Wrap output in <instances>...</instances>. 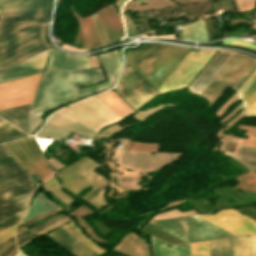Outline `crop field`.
<instances>
[{
    "label": "crop field",
    "mask_w": 256,
    "mask_h": 256,
    "mask_svg": "<svg viewBox=\"0 0 256 256\" xmlns=\"http://www.w3.org/2000/svg\"><path fill=\"white\" fill-rule=\"evenodd\" d=\"M191 256H209V241L191 243Z\"/></svg>",
    "instance_id": "obj_33"
},
{
    "label": "crop field",
    "mask_w": 256,
    "mask_h": 256,
    "mask_svg": "<svg viewBox=\"0 0 256 256\" xmlns=\"http://www.w3.org/2000/svg\"><path fill=\"white\" fill-rule=\"evenodd\" d=\"M198 217L234 234H246L256 232V222L240 215L233 209L219 211L212 215H197Z\"/></svg>",
    "instance_id": "obj_12"
},
{
    "label": "crop field",
    "mask_w": 256,
    "mask_h": 256,
    "mask_svg": "<svg viewBox=\"0 0 256 256\" xmlns=\"http://www.w3.org/2000/svg\"><path fill=\"white\" fill-rule=\"evenodd\" d=\"M87 201L90 202L93 206H95L97 208V210L101 209V206L107 205L104 202L103 191L99 192L98 194H96L95 196L91 197Z\"/></svg>",
    "instance_id": "obj_36"
},
{
    "label": "crop field",
    "mask_w": 256,
    "mask_h": 256,
    "mask_svg": "<svg viewBox=\"0 0 256 256\" xmlns=\"http://www.w3.org/2000/svg\"><path fill=\"white\" fill-rule=\"evenodd\" d=\"M234 53L219 51L189 86L190 92L200 94Z\"/></svg>",
    "instance_id": "obj_16"
},
{
    "label": "crop field",
    "mask_w": 256,
    "mask_h": 256,
    "mask_svg": "<svg viewBox=\"0 0 256 256\" xmlns=\"http://www.w3.org/2000/svg\"><path fill=\"white\" fill-rule=\"evenodd\" d=\"M238 180L241 183L237 187L256 191V173L248 172L238 177Z\"/></svg>",
    "instance_id": "obj_31"
},
{
    "label": "crop field",
    "mask_w": 256,
    "mask_h": 256,
    "mask_svg": "<svg viewBox=\"0 0 256 256\" xmlns=\"http://www.w3.org/2000/svg\"><path fill=\"white\" fill-rule=\"evenodd\" d=\"M10 157L9 153L6 151L5 147L3 144L0 145V159Z\"/></svg>",
    "instance_id": "obj_48"
},
{
    "label": "crop field",
    "mask_w": 256,
    "mask_h": 256,
    "mask_svg": "<svg viewBox=\"0 0 256 256\" xmlns=\"http://www.w3.org/2000/svg\"><path fill=\"white\" fill-rule=\"evenodd\" d=\"M71 10L81 25L84 48L90 49L102 45L90 16L82 19L79 14L75 15L73 9Z\"/></svg>",
    "instance_id": "obj_23"
},
{
    "label": "crop field",
    "mask_w": 256,
    "mask_h": 256,
    "mask_svg": "<svg viewBox=\"0 0 256 256\" xmlns=\"http://www.w3.org/2000/svg\"><path fill=\"white\" fill-rule=\"evenodd\" d=\"M256 68L253 70V72L249 75V77L244 81V83L239 87L237 90L239 96L243 94V92L248 88V86L252 83V81L256 78ZM255 75V76H254ZM254 76V78H253ZM253 78V79H252ZM252 79V80H251ZM251 80V81H250ZM250 81V82H249ZM249 82V84H248ZM248 84V85H247ZM247 85V86H246ZM246 86V87H245ZM245 87V88H244ZM244 88V90H243ZM243 90V91H242ZM242 91V92H241ZM242 94H241V93ZM245 99L247 100L249 106L256 98V80L254 83L247 89V91L243 94ZM243 95L240 97L244 100L246 106H247V114H256V100L252 103V105L249 107L247 102L245 101ZM247 116H256V115H247Z\"/></svg>",
    "instance_id": "obj_24"
},
{
    "label": "crop field",
    "mask_w": 256,
    "mask_h": 256,
    "mask_svg": "<svg viewBox=\"0 0 256 256\" xmlns=\"http://www.w3.org/2000/svg\"><path fill=\"white\" fill-rule=\"evenodd\" d=\"M91 18H92V21H93V23H94V25H95V27H96L98 33H99V36H100V39H101L103 45H104L105 43H109L108 40H107V38H106V35H105V33H104V30H103V28H102V26H101V23H100V21H99V18H98V16H97V14H94Z\"/></svg>",
    "instance_id": "obj_37"
},
{
    "label": "crop field",
    "mask_w": 256,
    "mask_h": 256,
    "mask_svg": "<svg viewBox=\"0 0 256 256\" xmlns=\"http://www.w3.org/2000/svg\"><path fill=\"white\" fill-rule=\"evenodd\" d=\"M17 224H18V223H17ZM17 224H14V225H12V226H10V227H7V228H5V229H3V230L0 231V242H2V241H4L5 239H7V238H9V237H11V236L14 235V234H13V229L15 228V226H16Z\"/></svg>",
    "instance_id": "obj_42"
},
{
    "label": "crop field",
    "mask_w": 256,
    "mask_h": 256,
    "mask_svg": "<svg viewBox=\"0 0 256 256\" xmlns=\"http://www.w3.org/2000/svg\"><path fill=\"white\" fill-rule=\"evenodd\" d=\"M126 0H120L116 5H117V7H118V9H119V11H120V8H121V6L123 5V3L125 2Z\"/></svg>",
    "instance_id": "obj_53"
},
{
    "label": "crop field",
    "mask_w": 256,
    "mask_h": 256,
    "mask_svg": "<svg viewBox=\"0 0 256 256\" xmlns=\"http://www.w3.org/2000/svg\"><path fill=\"white\" fill-rule=\"evenodd\" d=\"M48 23L0 21V72L51 47L45 39Z\"/></svg>",
    "instance_id": "obj_3"
},
{
    "label": "crop field",
    "mask_w": 256,
    "mask_h": 256,
    "mask_svg": "<svg viewBox=\"0 0 256 256\" xmlns=\"http://www.w3.org/2000/svg\"><path fill=\"white\" fill-rule=\"evenodd\" d=\"M11 127L15 128L19 132H17L15 129H13ZM8 128H11V129H8ZM6 129H8V130H6ZM3 130H6V131H3ZM0 131H3V132H0V137L11 134V133H14V132H17V133H14V134H11V135L0 138V143L6 142V141H9V140H13V139H16V138L28 136L25 133H23L22 131H20L18 128H16L14 125H12L11 123L6 124L4 126H1Z\"/></svg>",
    "instance_id": "obj_30"
},
{
    "label": "crop field",
    "mask_w": 256,
    "mask_h": 256,
    "mask_svg": "<svg viewBox=\"0 0 256 256\" xmlns=\"http://www.w3.org/2000/svg\"><path fill=\"white\" fill-rule=\"evenodd\" d=\"M26 179L28 177L16 162L0 166V190Z\"/></svg>",
    "instance_id": "obj_20"
},
{
    "label": "crop field",
    "mask_w": 256,
    "mask_h": 256,
    "mask_svg": "<svg viewBox=\"0 0 256 256\" xmlns=\"http://www.w3.org/2000/svg\"><path fill=\"white\" fill-rule=\"evenodd\" d=\"M153 256H190V243L172 245V249L167 244L152 237Z\"/></svg>",
    "instance_id": "obj_22"
},
{
    "label": "crop field",
    "mask_w": 256,
    "mask_h": 256,
    "mask_svg": "<svg viewBox=\"0 0 256 256\" xmlns=\"http://www.w3.org/2000/svg\"><path fill=\"white\" fill-rule=\"evenodd\" d=\"M105 103L122 117L134 112L112 90L98 95Z\"/></svg>",
    "instance_id": "obj_26"
},
{
    "label": "crop field",
    "mask_w": 256,
    "mask_h": 256,
    "mask_svg": "<svg viewBox=\"0 0 256 256\" xmlns=\"http://www.w3.org/2000/svg\"><path fill=\"white\" fill-rule=\"evenodd\" d=\"M63 48H65L67 50H73V51H85V50L74 48V47H71V46H68V45H65V44L63 45Z\"/></svg>",
    "instance_id": "obj_52"
},
{
    "label": "crop field",
    "mask_w": 256,
    "mask_h": 256,
    "mask_svg": "<svg viewBox=\"0 0 256 256\" xmlns=\"http://www.w3.org/2000/svg\"><path fill=\"white\" fill-rule=\"evenodd\" d=\"M55 50L60 70L45 72L37 89L34 103L29 111L32 113L47 106L46 108L34 113V115L38 117L45 110L51 109L59 104L97 93L109 87L112 85L121 67V61L116 50L109 53L100 54L99 56L109 81L79 91L83 89L81 88L77 90L81 85H89L103 80L104 78L102 70L94 69L80 72L63 73L71 70L89 68L87 57L67 55L57 49Z\"/></svg>",
    "instance_id": "obj_1"
},
{
    "label": "crop field",
    "mask_w": 256,
    "mask_h": 256,
    "mask_svg": "<svg viewBox=\"0 0 256 256\" xmlns=\"http://www.w3.org/2000/svg\"><path fill=\"white\" fill-rule=\"evenodd\" d=\"M59 210H61L60 207H58V208H56V209H54V210H52V211H50V212H47V213H44V214H41V215H38V216H35V217H32V218H29V219H27V220H23V221L21 222V224L18 226L17 229H19V228H21V227H23V226H26V225H28V224H31V223H33V222H35V221H38V220H40V219H42V218H44V217H46V216H48V215H50V214H52V213H54V212H57V211H59Z\"/></svg>",
    "instance_id": "obj_38"
},
{
    "label": "crop field",
    "mask_w": 256,
    "mask_h": 256,
    "mask_svg": "<svg viewBox=\"0 0 256 256\" xmlns=\"http://www.w3.org/2000/svg\"><path fill=\"white\" fill-rule=\"evenodd\" d=\"M49 60H50L49 65L46 70L58 68L55 53H54L53 49L50 50V59Z\"/></svg>",
    "instance_id": "obj_45"
},
{
    "label": "crop field",
    "mask_w": 256,
    "mask_h": 256,
    "mask_svg": "<svg viewBox=\"0 0 256 256\" xmlns=\"http://www.w3.org/2000/svg\"><path fill=\"white\" fill-rule=\"evenodd\" d=\"M109 42L119 41L124 35L122 21L112 5L97 12Z\"/></svg>",
    "instance_id": "obj_17"
},
{
    "label": "crop field",
    "mask_w": 256,
    "mask_h": 256,
    "mask_svg": "<svg viewBox=\"0 0 256 256\" xmlns=\"http://www.w3.org/2000/svg\"><path fill=\"white\" fill-rule=\"evenodd\" d=\"M113 248L132 256H151L150 246L134 232H129L122 237L121 241Z\"/></svg>",
    "instance_id": "obj_19"
},
{
    "label": "crop field",
    "mask_w": 256,
    "mask_h": 256,
    "mask_svg": "<svg viewBox=\"0 0 256 256\" xmlns=\"http://www.w3.org/2000/svg\"><path fill=\"white\" fill-rule=\"evenodd\" d=\"M224 153L235 158L237 161L243 164L249 171L256 172V158L243 156L227 151H225Z\"/></svg>",
    "instance_id": "obj_32"
},
{
    "label": "crop field",
    "mask_w": 256,
    "mask_h": 256,
    "mask_svg": "<svg viewBox=\"0 0 256 256\" xmlns=\"http://www.w3.org/2000/svg\"><path fill=\"white\" fill-rule=\"evenodd\" d=\"M30 232H28L26 229L21 231L20 233L16 234V241L20 240L24 236L28 235Z\"/></svg>",
    "instance_id": "obj_49"
},
{
    "label": "crop field",
    "mask_w": 256,
    "mask_h": 256,
    "mask_svg": "<svg viewBox=\"0 0 256 256\" xmlns=\"http://www.w3.org/2000/svg\"><path fill=\"white\" fill-rule=\"evenodd\" d=\"M159 144H142L136 142H129L126 149L144 150V151H157Z\"/></svg>",
    "instance_id": "obj_35"
},
{
    "label": "crop field",
    "mask_w": 256,
    "mask_h": 256,
    "mask_svg": "<svg viewBox=\"0 0 256 256\" xmlns=\"http://www.w3.org/2000/svg\"><path fill=\"white\" fill-rule=\"evenodd\" d=\"M62 227L65 230H67L69 233H71L73 236H75L77 239L82 241L84 244H86L88 247H90L92 250H94L96 253L100 254V253L106 251V250L98 247L95 243H93L91 240H89L87 237H85L82 234V232L78 229V227L75 225L74 221H71V222H69V225H64Z\"/></svg>",
    "instance_id": "obj_29"
},
{
    "label": "crop field",
    "mask_w": 256,
    "mask_h": 256,
    "mask_svg": "<svg viewBox=\"0 0 256 256\" xmlns=\"http://www.w3.org/2000/svg\"><path fill=\"white\" fill-rule=\"evenodd\" d=\"M13 244H15L14 236L11 237V238H9V239H7V240H5L3 243L0 244V253H1L4 249L10 247V246L13 245Z\"/></svg>",
    "instance_id": "obj_47"
},
{
    "label": "crop field",
    "mask_w": 256,
    "mask_h": 256,
    "mask_svg": "<svg viewBox=\"0 0 256 256\" xmlns=\"http://www.w3.org/2000/svg\"><path fill=\"white\" fill-rule=\"evenodd\" d=\"M10 162H14L12 157L0 160V165L7 164V163H10Z\"/></svg>",
    "instance_id": "obj_51"
},
{
    "label": "crop field",
    "mask_w": 256,
    "mask_h": 256,
    "mask_svg": "<svg viewBox=\"0 0 256 256\" xmlns=\"http://www.w3.org/2000/svg\"><path fill=\"white\" fill-rule=\"evenodd\" d=\"M124 20H125V28H126L127 36H129V37L136 36L137 34H136L132 20L127 18L125 15H124Z\"/></svg>",
    "instance_id": "obj_40"
},
{
    "label": "crop field",
    "mask_w": 256,
    "mask_h": 256,
    "mask_svg": "<svg viewBox=\"0 0 256 256\" xmlns=\"http://www.w3.org/2000/svg\"><path fill=\"white\" fill-rule=\"evenodd\" d=\"M235 256H252L251 235L234 238ZM233 238L210 241V256H234Z\"/></svg>",
    "instance_id": "obj_14"
},
{
    "label": "crop field",
    "mask_w": 256,
    "mask_h": 256,
    "mask_svg": "<svg viewBox=\"0 0 256 256\" xmlns=\"http://www.w3.org/2000/svg\"><path fill=\"white\" fill-rule=\"evenodd\" d=\"M57 185H59V184L55 178V175H53L50 179L43 182V188L47 189V190H49Z\"/></svg>",
    "instance_id": "obj_44"
},
{
    "label": "crop field",
    "mask_w": 256,
    "mask_h": 256,
    "mask_svg": "<svg viewBox=\"0 0 256 256\" xmlns=\"http://www.w3.org/2000/svg\"><path fill=\"white\" fill-rule=\"evenodd\" d=\"M116 85V92L135 111L157 93L130 67L123 69Z\"/></svg>",
    "instance_id": "obj_9"
},
{
    "label": "crop field",
    "mask_w": 256,
    "mask_h": 256,
    "mask_svg": "<svg viewBox=\"0 0 256 256\" xmlns=\"http://www.w3.org/2000/svg\"><path fill=\"white\" fill-rule=\"evenodd\" d=\"M17 256H24L21 252H18Z\"/></svg>",
    "instance_id": "obj_57"
},
{
    "label": "crop field",
    "mask_w": 256,
    "mask_h": 256,
    "mask_svg": "<svg viewBox=\"0 0 256 256\" xmlns=\"http://www.w3.org/2000/svg\"><path fill=\"white\" fill-rule=\"evenodd\" d=\"M55 242H57L60 246L66 248L75 256H97L94 251L88 248L86 245L81 243L71 234L66 232L61 227L56 231L48 234Z\"/></svg>",
    "instance_id": "obj_18"
},
{
    "label": "crop field",
    "mask_w": 256,
    "mask_h": 256,
    "mask_svg": "<svg viewBox=\"0 0 256 256\" xmlns=\"http://www.w3.org/2000/svg\"><path fill=\"white\" fill-rule=\"evenodd\" d=\"M47 60V50L0 73V83L19 79L43 71Z\"/></svg>",
    "instance_id": "obj_15"
},
{
    "label": "crop field",
    "mask_w": 256,
    "mask_h": 256,
    "mask_svg": "<svg viewBox=\"0 0 256 256\" xmlns=\"http://www.w3.org/2000/svg\"><path fill=\"white\" fill-rule=\"evenodd\" d=\"M239 128L248 130L246 135L249 136L248 139H243L241 144L256 148V127L240 125Z\"/></svg>",
    "instance_id": "obj_34"
},
{
    "label": "crop field",
    "mask_w": 256,
    "mask_h": 256,
    "mask_svg": "<svg viewBox=\"0 0 256 256\" xmlns=\"http://www.w3.org/2000/svg\"><path fill=\"white\" fill-rule=\"evenodd\" d=\"M5 123H9V122L6 121V120H4V121H1V122H0V125L5 124Z\"/></svg>",
    "instance_id": "obj_56"
},
{
    "label": "crop field",
    "mask_w": 256,
    "mask_h": 256,
    "mask_svg": "<svg viewBox=\"0 0 256 256\" xmlns=\"http://www.w3.org/2000/svg\"><path fill=\"white\" fill-rule=\"evenodd\" d=\"M56 113L97 133L108 124L122 119L97 96Z\"/></svg>",
    "instance_id": "obj_4"
},
{
    "label": "crop field",
    "mask_w": 256,
    "mask_h": 256,
    "mask_svg": "<svg viewBox=\"0 0 256 256\" xmlns=\"http://www.w3.org/2000/svg\"><path fill=\"white\" fill-rule=\"evenodd\" d=\"M50 0H0V12L49 8Z\"/></svg>",
    "instance_id": "obj_21"
},
{
    "label": "crop field",
    "mask_w": 256,
    "mask_h": 256,
    "mask_svg": "<svg viewBox=\"0 0 256 256\" xmlns=\"http://www.w3.org/2000/svg\"><path fill=\"white\" fill-rule=\"evenodd\" d=\"M144 1H146V0H135V2L137 3V5L143 3Z\"/></svg>",
    "instance_id": "obj_55"
},
{
    "label": "crop field",
    "mask_w": 256,
    "mask_h": 256,
    "mask_svg": "<svg viewBox=\"0 0 256 256\" xmlns=\"http://www.w3.org/2000/svg\"><path fill=\"white\" fill-rule=\"evenodd\" d=\"M5 146L28 176L35 173L43 181L52 174V169L43 159L32 138L6 143Z\"/></svg>",
    "instance_id": "obj_6"
},
{
    "label": "crop field",
    "mask_w": 256,
    "mask_h": 256,
    "mask_svg": "<svg viewBox=\"0 0 256 256\" xmlns=\"http://www.w3.org/2000/svg\"><path fill=\"white\" fill-rule=\"evenodd\" d=\"M49 9L43 10H31V11H19V12H4L0 13L2 20L18 19V18H34L47 20Z\"/></svg>",
    "instance_id": "obj_28"
},
{
    "label": "crop field",
    "mask_w": 256,
    "mask_h": 256,
    "mask_svg": "<svg viewBox=\"0 0 256 256\" xmlns=\"http://www.w3.org/2000/svg\"><path fill=\"white\" fill-rule=\"evenodd\" d=\"M28 123H29V130L33 134L34 131L39 127V125L42 123V119L37 118L31 114L28 113Z\"/></svg>",
    "instance_id": "obj_39"
},
{
    "label": "crop field",
    "mask_w": 256,
    "mask_h": 256,
    "mask_svg": "<svg viewBox=\"0 0 256 256\" xmlns=\"http://www.w3.org/2000/svg\"><path fill=\"white\" fill-rule=\"evenodd\" d=\"M33 182L28 179L0 191V219L27 209Z\"/></svg>",
    "instance_id": "obj_11"
},
{
    "label": "crop field",
    "mask_w": 256,
    "mask_h": 256,
    "mask_svg": "<svg viewBox=\"0 0 256 256\" xmlns=\"http://www.w3.org/2000/svg\"><path fill=\"white\" fill-rule=\"evenodd\" d=\"M237 153L252 156V157H256V149L246 147V146H242V145L239 146V149H238Z\"/></svg>",
    "instance_id": "obj_43"
},
{
    "label": "crop field",
    "mask_w": 256,
    "mask_h": 256,
    "mask_svg": "<svg viewBox=\"0 0 256 256\" xmlns=\"http://www.w3.org/2000/svg\"><path fill=\"white\" fill-rule=\"evenodd\" d=\"M190 49L161 44H145L126 55L128 62L157 90ZM192 52L157 90L161 93L185 87L216 51Z\"/></svg>",
    "instance_id": "obj_2"
},
{
    "label": "crop field",
    "mask_w": 256,
    "mask_h": 256,
    "mask_svg": "<svg viewBox=\"0 0 256 256\" xmlns=\"http://www.w3.org/2000/svg\"><path fill=\"white\" fill-rule=\"evenodd\" d=\"M256 61L253 63V65L247 70V72L241 77V79L235 84L233 89H237L238 86L244 81V79L249 75V73L255 68Z\"/></svg>",
    "instance_id": "obj_46"
},
{
    "label": "crop field",
    "mask_w": 256,
    "mask_h": 256,
    "mask_svg": "<svg viewBox=\"0 0 256 256\" xmlns=\"http://www.w3.org/2000/svg\"><path fill=\"white\" fill-rule=\"evenodd\" d=\"M1 120H4V119L0 117V121H1Z\"/></svg>",
    "instance_id": "obj_58"
},
{
    "label": "crop field",
    "mask_w": 256,
    "mask_h": 256,
    "mask_svg": "<svg viewBox=\"0 0 256 256\" xmlns=\"http://www.w3.org/2000/svg\"><path fill=\"white\" fill-rule=\"evenodd\" d=\"M149 223L186 242L232 236V234L196 216L154 221Z\"/></svg>",
    "instance_id": "obj_5"
},
{
    "label": "crop field",
    "mask_w": 256,
    "mask_h": 256,
    "mask_svg": "<svg viewBox=\"0 0 256 256\" xmlns=\"http://www.w3.org/2000/svg\"><path fill=\"white\" fill-rule=\"evenodd\" d=\"M254 61L247 56L235 54L201 95L214 104L227 87L234 86Z\"/></svg>",
    "instance_id": "obj_7"
},
{
    "label": "crop field",
    "mask_w": 256,
    "mask_h": 256,
    "mask_svg": "<svg viewBox=\"0 0 256 256\" xmlns=\"http://www.w3.org/2000/svg\"><path fill=\"white\" fill-rule=\"evenodd\" d=\"M73 132L94 139L95 133L56 114L52 115L38 136L66 139Z\"/></svg>",
    "instance_id": "obj_13"
},
{
    "label": "crop field",
    "mask_w": 256,
    "mask_h": 256,
    "mask_svg": "<svg viewBox=\"0 0 256 256\" xmlns=\"http://www.w3.org/2000/svg\"><path fill=\"white\" fill-rule=\"evenodd\" d=\"M223 44H237L241 46H245L248 48L256 49V46L245 41L237 40V39H226L222 41Z\"/></svg>",
    "instance_id": "obj_41"
},
{
    "label": "crop field",
    "mask_w": 256,
    "mask_h": 256,
    "mask_svg": "<svg viewBox=\"0 0 256 256\" xmlns=\"http://www.w3.org/2000/svg\"><path fill=\"white\" fill-rule=\"evenodd\" d=\"M40 74L0 85V109L31 102Z\"/></svg>",
    "instance_id": "obj_10"
},
{
    "label": "crop field",
    "mask_w": 256,
    "mask_h": 256,
    "mask_svg": "<svg viewBox=\"0 0 256 256\" xmlns=\"http://www.w3.org/2000/svg\"><path fill=\"white\" fill-rule=\"evenodd\" d=\"M182 35L185 40L207 42V36L202 20L183 26Z\"/></svg>",
    "instance_id": "obj_25"
},
{
    "label": "crop field",
    "mask_w": 256,
    "mask_h": 256,
    "mask_svg": "<svg viewBox=\"0 0 256 256\" xmlns=\"http://www.w3.org/2000/svg\"><path fill=\"white\" fill-rule=\"evenodd\" d=\"M146 36V35H143ZM148 37V36H147ZM154 37H172L174 38V34H170V35H162V36H154Z\"/></svg>",
    "instance_id": "obj_54"
},
{
    "label": "crop field",
    "mask_w": 256,
    "mask_h": 256,
    "mask_svg": "<svg viewBox=\"0 0 256 256\" xmlns=\"http://www.w3.org/2000/svg\"><path fill=\"white\" fill-rule=\"evenodd\" d=\"M30 104L1 110L0 113L15 122L19 127L29 133L26 125V113ZM30 134V133H29Z\"/></svg>",
    "instance_id": "obj_27"
},
{
    "label": "crop field",
    "mask_w": 256,
    "mask_h": 256,
    "mask_svg": "<svg viewBox=\"0 0 256 256\" xmlns=\"http://www.w3.org/2000/svg\"><path fill=\"white\" fill-rule=\"evenodd\" d=\"M99 165L85 156L82 157L57 172L62 182V187L76 194L94 184L103 178L93 171Z\"/></svg>",
    "instance_id": "obj_8"
},
{
    "label": "crop field",
    "mask_w": 256,
    "mask_h": 256,
    "mask_svg": "<svg viewBox=\"0 0 256 256\" xmlns=\"http://www.w3.org/2000/svg\"><path fill=\"white\" fill-rule=\"evenodd\" d=\"M253 256H256V235H252Z\"/></svg>",
    "instance_id": "obj_50"
}]
</instances>
